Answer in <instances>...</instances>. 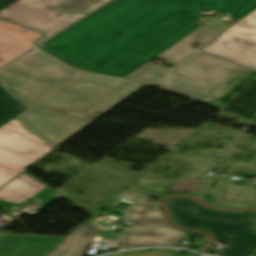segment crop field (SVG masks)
Wrapping results in <instances>:
<instances>
[{"instance_id": "crop-field-16", "label": "crop field", "mask_w": 256, "mask_h": 256, "mask_svg": "<svg viewBox=\"0 0 256 256\" xmlns=\"http://www.w3.org/2000/svg\"><path fill=\"white\" fill-rule=\"evenodd\" d=\"M119 196L123 197V198H126L127 200H137V201L145 198V197H142L140 195L134 194V193H132V192H130L128 190L124 191Z\"/></svg>"}, {"instance_id": "crop-field-7", "label": "crop field", "mask_w": 256, "mask_h": 256, "mask_svg": "<svg viewBox=\"0 0 256 256\" xmlns=\"http://www.w3.org/2000/svg\"><path fill=\"white\" fill-rule=\"evenodd\" d=\"M201 50L256 68V11L225 30L221 37Z\"/></svg>"}, {"instance_id": "crop-field-8", "label": "crop field", "mask_w": 256, "mask_h": 256, "mask_svg": "<svg viewBox=\"0 0 256 256\" xmlns=\"http://www.w3.org/2000/svg\"><path fill=\"white\" fill-rule=\"evenodd\" d=\"M40 33L0 21V68L35 47Z\"/></svg>"}, {"instance_id": "crop-field-11", "label": "crop field", "mask_w": 256, "mask_h": 256, "mask_svg": "<svg viewBox=\"0 0 256 256\" xmlns=\"http://www.w3.org/2000/svg\"><path fill=\"white\" fill-rule=\"evenodd\" d=\"M126 221L132 222L127 231L165 224L157 202L151 199L131 207L127 212Z\"/></svg>"}, {"instance_id": "crop-field-1", "label": "crop field", "mask_w": 256, "mask_h": 256, "mask_svg": "<svg viewBox=\"0 0 256 256\" xmlns=\"http://www.w3.org/2000/svg\"><path fill=\"white\" fill-rule=\"evenodd\" d=\"M107 5V4H106ZM242 19L256 0H115L41 47L81 69L149 84L219 33L194 21L203 8Z\"/></svg>"}, {"instance_id": "crop-field-4", "label": "crop field", "mask_w": 256, "mask_h": 256, "mask_svg": "<svg viewBox=\"0 0 256 256\" xmlns=\"http://www.w3.org/2000/svg\"><path fill=\"white\" fill-rule=\"evenodd\" d=\"M244 67L197 52L151 85L204 102Z\"/></svg>"}, {"instance_id": "crop-field-19", "label": "crop field", "mask_w": 256, "mask_h": 256, "mask_svg": "<svg viewBox=\"0 0 256 256\" xmlns=\"http://www.w3.org/2000/svg\"><path fill=\"white\" fill-rule=\"evenodd\" d=\"M199 256H205V255H199Z\"/></svg>"}, {"instance_id": "crop-field-14", "label": "crop field", "mask_w": 256, "mask_h": 256, "mask_svg": "<svg viewBox=\"0 0 256 256\" xmlns=\"http://www.w3.org/2000/svg\"><path fill=\"white\" fill-rule=\"evenodd\" d=\"M21 111L22 110L0 105V125L8 121L9 119L15 117Z\"/></svg>"}, {"instance_id": "crop-field-6", "label": "crop field", "mask_w": 256, "mask_h": 256, "mask_svg": "<svg viewBox=\"0 0 256 256\" xmlns=\"http://www.w3.org/2000/svg\"><path fill=\"white\" fill-rule=\"evenodd\" d=\"M66 0H17L0 11V19L18 23L26 28L42 31L46 38L63 30L85 15L64 14L55 9Z\"/></svg>"}, {"instance_id": "crop-field-3", "label": "crop field", "mask_w": 256, "mask_h": 256, "mask_svg": "<svg viewBox=\"0 0 256 256\" xmlns=\"http://www.w3.org/2000/svg\"><path fill=\"white\" fill-rule=\"evenodd\" d=\"M167 206L175 224L205 230L218 241L229 243L221 256H251L256 248V233L253 218L256 215H240L207 210L193 201L174 198ZM189 209H194L193 213Z\"/></svg>"}, {"instance_id": "crop-field-17", "label": "crop field", "mask_w": 256, "mask_h": 256, "mask_svg": "<svg viewBox=\"0 0 256 256\" xmlns=\"http://www.w3.org/2000/svg\"><path fill=\"white\" fill-rule=\"evenodd\" d=\"M16 0H0V10L13 3Z\"/></svg>"}, {"instance_id": "crop-field-5", "label": "crop field", "mask_w": 256, "mask_h": 256, "mask_svg": "<svg viewBox=\"0 0 256 256\" xmlns=\"http://www.w3.org/2000/svg\"><path fill=\"white\" fill-rule=\"evenodd\" d=\"M54 148L27 132L15 118L0 128V186Z\"/></svg>"}, {"instance_id": "crop-field-2", "label": "crop field", "mask_w": 256, "mask_h": 256, "mask_svg": "<svg viewBox=\"0 0 256 256\" xmlns=\"http://www.w3.org/2000/svg\"><path fill=\"white\" fill-rule=\"evenodd\" d=\"M0 84L28 108L24 127L56 148L144 86L74 70L38 48L2 69Z\"/></svg>"}, {"instance_id": "crop-field-18", "label": "crop field", "mask_w": 256, "mask_h": 256, "mask_svg": "<svg viewBox=\"0 0 256 256\" xmlns=\"http://www.w3.org/2000/svg\"><path fill=\"white\" fill-rule=\"evenodd\" d=\"M14 211H16V210H14ZM18 212H22V211H18Z\"/></svg>"}, {"instance_id": "crop-field-10", "label": "crop field", "mask_w": 256, "mask_h": 256, "mask_svg": "<svg viewBox=\"0 0 256 256\" xmlns=\"http://www.w3.org/2000/svg\"><path fill=\"white\" fill-rule=\"evenodd\" d=\"M96 233L97 230L87 221L72 229L63 243L46 256H82Z\"/></svg>"}, {"instance_id": "crop-field-9", "label": "crop field", "mask_w": 256, "mask_h": 256, "mask_svg": "<svg viewBox=\"0 0 256 256\" xmlns=\"http://www.w3.org/2000/svg\"><path fill=\"white\" fill-rule=\"evenodd\" d=\"M123 249L136 246L163 245L179 247L185 233L167 225L149 229L130 231L123 234Z\"/></svg>"}, {"instance_id": "crop-field-13", "label": "crop field", "mask_w": 256, "mask_h": 256, "mask_svg": "<svg viewBox=\"0 0 256 256\" xmlns=\"http://www.w3.org/2000/svg\"><path fill=\"white\" fill-rule=\"evenodd\" d=\"M172 252L173 250L165 249H144L139 251H125L109 256H171Z\"/></svg>"}, {"instance_id": "crop-field-15", "label": "crop field", "mask_w": 256, "mask_h": 256, "mask_svg": "<svg viewBox=\"0 0 256 256\" xmlns=\"http://www.w3.org/2000/svg\"><path fill=\"white\" fill-rule=\"evenodd\" d=\"M0 104L22 109V110L24 109L15 100H13L1 87H0Z\"/></svg>"}, {"instance_id": "crop-field-12", "label": "crop field", "mask_w": 256, "mask_h": 256, "mask_svg": "<svg viewBox=\"0 0 256 256\" xmlns=\"http://www.w3.org/2000/svg\"><path fill=\"white\" fill-rule=\"evenodd\" d=\"M108 0H68L57 9L71 14H84L88 13Z\"/></svg>"}]
</instances>
